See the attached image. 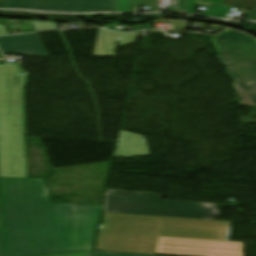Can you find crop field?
Segmentation results:
<instances>
[{
	"label": "crop field",
	"instance_id": "dd49c442",
	"mask_svg": "<svg viewBox=\"0 0 256 256\" xmlns=\"http://www.w3.org/2000/svg\"><path fill=\"white\" fill-rule=\"evenodd\" d=\"M117 0H8L4 8L57 12H116Z\"/></svg>",
	"mask_w": 256,
	"mask_h": 256
},
{
	"label": "crop field",
	"instance_id": "3316defc",
	"mask_svg": "<svg viewBox=\"0 0 256 256\" xmlns=\"http://www.w3.org/2000/svg\"><path fill=\"white\" fill-rule=\"evenodd\" d=\"M138 33L116 34L111 31L99 30L93 56L97 57H115V41L119 40L120 47L135 43ZM122 40H124L122 42Z\"/></svg>",
	"mask_w": 256,
	"mask_h": 256
},
{
	"label": "crop field",
	"instance_id": "92a150f3",
	"mask_svg": "<svg viewBox=\"0 0 256 256\" xmlns=\"http://www.w3.org/2000/svg\"><path fill=\"white\" fill-rule=\"evenodd\" d=\"M0 55H1V53H0Z\"/></svg>",
	"mask_w": 256,
	"mask_h": 256
},
{
	"label": "crop field",
	"instance_id": "d8731c3e",
	"mask_svg": "<svg viewBox=\"0 0 256 256\" xmlns=\"http://www.w3.org/2000/svg\"><path fill=\"white\" fill-rule=\"evenodd\" d=\"M103 221L229 231L231 222L104 213Z\"/></svg>",
	"mask_w": 256,
	"mask_h": 256
},
{
	"label": "crop field",
	"instance_id": "4a817a6b",
	"mask_svg": "<svg viewBox=\"0 0 256 256\" xmlns=\"http://www.w3.org/2000/svg\"><path fill=\"white\" fill-rule=\"evenodd\" d=\"M8 34L6 28L4 25L0 26V35Z\"/></svg>",
	"mask_w": 256,
	"mask_h": 256
},
{
	"label": "crop field",
	"instance_id": "214f88e0",
	"mask_svg": "<svg viewBox=\"0 0 256 256\" xmlns=\"http://www.w3.org/2000/svg\"><path fill=\"white\" fill-rule=\"evenodd\" d=\"M0 227H1V223H0Z\"/></svg>",
	"mask_w": 256,
	"mask_h": 256
},
{
	"label": "crop field",
	"instance_id": "d1516ede",
	"mask_svg": "<svg viewBox=\"0 0 256 256\" xmlns=\"http://www.w3.org/2000/svg\"><path fill=\"white\" fill-rule=\"evenodd\" d=\"M195 1L213 3L205 12L204 15L206 16L225 18L232 9L231 7L224 6V0H186L187 13L195 14Z\"/></svg>",
	"mask_w": 256,
	"mask_h": 256
},
{
	"label": "crop field",
	"instance_id": "22f410ed",
	"mask_svg": "<svg viewBox=\"0 0 256 256\" xmlns=\"http://www.w3.org/2000/svg\"><path fill=\"white\" fill-rule=\"evenodd\" d=\"M1 13L5 14H20V15H37L41 13H33V12H22V11H2ZM50 15H59V16H67L77 18V15H69V14H50Z\"/></svg>",
	"mask_w": 256,
	"mask_h": 256
},
{
	"label": "crop field",
	"instance_id": "d9b57169",
	"mask_svg": "<svg viewBox=\"0 0 256 256\" xmlns=\"http://www.w3.org/2000/svg\"><path fill=\"white\" fill-rule=\"evenodd\" d=\"M43 256H91V252L57 254V255H43Z\"/></svg>",
	"mask_w": 256,
	"mask_h": 256
},
{
	"label": "crop field",
	"instance_id": "ac0d7876",
	"mask_svg": "<svg viewBox=\"0 0 256 256\" xmlns=\"http://www.w3.org/2000/svg\"><path fill=\"white\" fill-rule=\"evenodd\" d=\"M18 63L0 64V178H26L23 88Z\"/></svg>",
	"mask_w": 256,
	"mask_h": 256
},
{
	"label": "crop field",
	"instance_id": "733c2abd",
	"mask_svg": "<svg viewBox=\"0 0 256 256\" xmlns=\"http://www.w3.org/2000/svg\"><path fill=\"white\" fill-rule=\"evenodd\" d=\"M179 12L186 13L185 0H178Z\"/></svg>",
	"mask_w": 256,
	"mask_h": 256
},
{
	"label": "crop field",
	"instance_id": "8a807250",
	"mask_svg": "<svg viewBox=\"0 0 256 256\" xmlns=\"http://www.w3.org/2000/svg\"><path fill=\"white\" fill-rule=\"evenodd\" d=\"M0 256L91 251L102 206L51 203L44 179L0 180Z\"/></svg>",
	"mask_w": 256,
	"mask_h": 256
},
{
	"label": "crop field",
	"instance_id": "5a996713",
	"mask_svg": "<svg viewBox=\"0 0 256 256\" xmlns=\"http://www.w3.org/2000/svg\"><path fill=\"white\" fill-rule=\"evenodd\" d=\"M0 47L7 54L48 57L37 34L2 37L0 38Z\"/></svg>",
	"mask_w": 256,
	"mask_h": 256
},
{
	"label": "crop field",
	"instance_id": "dafd665d",
	"mask_svg": "<svg viewBox=\"0 0 256 256\" xmlns=\"http://www.w3.org/2000/svg\"><path fill=\"white\" fill-rule=\"evenodd\" d=\"M0 250H1V248H0Z\"/></svg>",
	"mask_w": 256,
	"mask_h": 256
},
{
	"label": "crop field",
	"instance_id": "5142ce71",
	"mask_svg": "<svg viewBox=\"0 0 256 256\" xmlns=\"http://www.w3.org/2000/svg\"><path fill=\"white\" fill-rule=\"evenodd\" d=\"M94 256H146V255H133L123 253H112V252H94Z\"/></svg>",
	"mask_w": 256,
	"mask_h": 256
},
{
	"label": "crop field",
	"instance_id": "412701ff",
	"mask_svg": "<svg viewBox=\"0 0 256 256\" xmlns=\"http://www.w3.org/2000/svg\"><path fill=\"white\" fill-rule=\"evenodd\" d=\"M164 195L107 190L104 212L212 220L216 204L161 200Z\"/></svg>",
	"mask_w": 256,
	"mask_h": 256
},
{
	"label": "crop field",
	"instance_id": "e52e79f7",
	"mask_svg": "<svg viewBox=\"0 0 256 256\" xmlns=\"http://www.w3.org/2000/svg\"><path fill=\"white\" fill-rule=\"evenodd\" d=\"M99 231L227 241L229 232L102 222Z\"/></svg>",
	"mask_w": 256,
	"mask_h": 256
},
{
	"label": "crop field",
	"instance_id": "28ad6ade",
	"mask_svg": "<svg viewBox=\"0 0 256 256\" xmlns=\"http://www.w3.org/2000/svg\"><path fill=\"white\" fill-rule=\"evenodd\" d=\"M142 138L145 137L121 130L114 157L148 156V146Z\"/></svg>",
	"mask_w": 256,
	"mask_h": 256
},
{
	"label": "crop field",
	"instance_id": "f4fd0767",
	"mask_svg": "<svg viewBox=\"0 0 256 256\" xmlns=\"http://www.w3.org/2000/svg\"><path fill=\"white\" fill-rule=\"evenodd\" d=\"M211 40L219 61L227 68L225 72L234 81L241 98L238 105L256 107V41L234 30Z\"/></svg>",
	"mask_w": 256,
	"mask_h": 256
},
{
	"label": "crop field",
	"instance_id": "bc2a9ffb",
	"mask_svg": "<svg viewBox=\"0 0 256 256\" xmlns=\"http://www.w3.org/2000/svg\"><path fill=\"white\" fill-rule=\"evenodd\" d=\"M7 0H0V8H3Z\"/></svg>",
	"mask_w": 256,
	"mask_h": 256
},
{
	"label": "crop field",
	"instance_id": "34b2d1b8",
	"mask_svg": "<svg viewBox=\"0 0 256 256\" xmlns=\"http://www.w3.org/2000/svg\"><path fill=\"white\" fill-rule=\"evenodd\" d=\"M95 250L155 255L243 256L244 244L99 232Z\"/></svg>",
	"mask_w": 256,
	"mask_h": 256
},
{
	"label": "crop field",
	"instance_id": "cbeb9de0",
	"mask_svg": "<svg viewBox=\"0 0 256 256\" xmlns=\"http://www.w3.org/2000/svg\"><path fill=\"white\" fill-rule=\"evenodd\" d=\"M117 12H130V0H118Z\"/></svg>",
	"mask_w": 256,
	"mask_h": 256
}]
</instances>
